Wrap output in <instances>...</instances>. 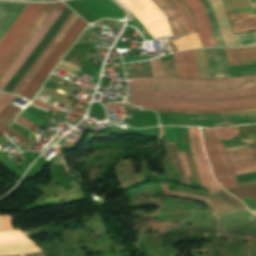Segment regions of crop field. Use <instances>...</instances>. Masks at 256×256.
Returning a JSON list of instances; mask_svg holds the SVG:
<instances>
[{
  "label": "crop field",
  "mask_w": 256,
  "mask_h": 256,
  "mask_svg": "<svg viewBox=\"0 0 256 256\" xmlns=\"http://www.w3.org/2000/svg\"><path fill=\"white\" fill-rule=\"evenodd\" d=\"M173 56L179 77L199 78L192 50Z\"/></svg>",
  "instance_id": "17"
},
{
  "label": "crop field",
  "mask_w": 256,
  "mask_h": 256,
  "mask_svg": "<svg viewBox=\"0 0 256 256\" xmlns=\"http://www.w3.org/2000/svg\"><path fill=\"white\" fill-rule=\"evenodd\" d=\"M228 191L237 198L252 196L256 202V186L235 188Z\"/></svg>",
  "instance_id": "37"
},
{
  "label": "crop field",
  "mask_w": 256,
  "mask_h": 256,
  "mask_svg": "<svg viewBox=\"0 0 256 256\" xmlns=\"http://www.w3.org/2000/svg\"><path fill=\"white\" fill-rule=\"evenodd\" d=\"M155 78H156L157 82L183 83V84H201V85H215V84H225V83L256 81V76L224 78V79H214V80L163 78V77H155Z\"/></svg>",
  "instance_id": "18"
},
{
  "label": "crop field",
  "mask_w": 256,
  "mask_h": 256,
  "mask_svg": "<svg viewBox=\"0 0 256 256\" xmlns=\"http://www.w3.org/2000/svg\"><path fill=\"white\" fill-rule=\"evenodd\" d=\"M155 75L178 77L174 60L161 63L160 58L152 60Z\"/></svg>",
  "instance_id": "26"
},
{
  "label": "crop field",
  "mask_w": 256,
  "mask_h": 256,
  "mask_svg": "<svg viewBox=\"0 0 256 256\" xmlns=\"http://www.w3.org/2000/svg\"><path fill=\"white\" fill-rule=\"evenodd\" d=\"M27 3L0 0V39Z\"/></svg>",
  "instance_id": "14"
},
{
  "label": "crop field",
  "mask_w": 256,
  "mask_h": 256,
  "mask_svg": "<svg viewBox=\"0 0 256 256\" xmlns=\"http://www.w3.org/2000/svg\"><path fill=\"white\" fill-rule=\"evenodd\" d=\"M178 155H179L180 161L182 163V166H183V169H184V172H185V175H186V179H187V182H188L187 176H190L191 174H190V171H189V167H188V163H187V160H186L185 153L184 152H178Z\"/></svg>",
  "instance_id": "44"
},
{
  "label": "crop field",
  "mask_w": 256,
  "mask_h": 256,
  "mask_svg": "<svg viewBox=\"0 0 256 256\" xmlns=\"http://www.w3.org/2000/svg\"><path fill=\"white\" fill-rule=\"evenodd\" d=\"M114 169L122 187L133 185L139 182L131 160H128L114 167Z\"/></svg>",
  "instance_id": "23"
},
{
  "label": "crop field",
  "mask_w": 256,
  "mask_h": 256,
  "mask_svg": "<svg viewBox=\"0 0 256 256\" xmlns=\"http://www.w3.org/2000/svg\"><path fill=\"white\" fill-rule=\"evenodd\" d=\"M256 185V180L251 182L239 183L238 186Z\"/></svg>",
  "instance_id": "59"
},
{
  "label": "crop field",
  "mask_w": 256,
  "mask_h": 256,
  "mask_svg": "<svg viewBox=\"0 0 256 256\" xmlns=\"http://www.w3.org/2000/svg\"><path fill=\"white\" fill-rule=\"evenodd\" d=\"M254 157H256V154L243 156V157L232 158L230 160H231V162H235V161L250 159V158H254ZM232 165H233L235 170L252 168V167H256V159L243 161V162L232 163Z\"/></svg>",
  "instance_id": "34"
},
{
  "label": "crop field",
  "mask_w": 256,
  "mask_h": 256,
  "mask_svg": "<svg viewBox=\"0 0 256 256\" xmlns=\"http://www.w3.org/2000/svg\"><path fill=\"white\" fill-rule=\"evenodd\" d=\"M160 122H161V124H173V125L217 126V125H228V124L256 122V118L223 120V121H171V120H160Z\"/></svg>",
  "instance_id": "24"
},
{
  "label": "crop field",
  "mask_w": 256,
  "mask_h": 256,
  "mask_svg": "<svg viewBox=\"0 0 256 256\" xmlns=\"http://www.w3.org/2000/svg\"><path fill=\"white\" fill-rule=\"evenodd\" d=\"M213 78L231 76L224 48H206Z\"/></svg>",
  "instance_id": "16"
},
{
  "label": "crop field",
  "mask_w": 256,
  "mask_h": 256,
  "mask_svg": "<svg viewBox=\"0 0 256 256\" xmlns=\"http://www.w3.org/2000/svg\"><path fill=\"white\" fill-rule=\"evenodd\" d=\"M75 14L73 12L71 13V15L62 25V27L59 29V31L56 33V35L53 37V39L50 41L44 51L40 54V56L37 58V60L34 62V64L31 66V68L28 70V72L25 74V76L22 78V80L19 82V84L16 86L12 93L17 95L20 94V92L23 90V88L26 86V84L29 82L35 72L39 69V67L42 65V63L45 61V59L48 57V55L51 53L57 43L61 40V38L70 28V26L76 20L78 16Z\"/></svg>",
  "instance_id": "10"
},
{
  "label": "crop field",
  "mask_w": 256,
  "mask_h": 256,
  "mask_svg": "<svg viewBox=\"0 0 256 256\" xmlns=\"http://www.w3.org/2000/svg\"><path fill=\"white\" fill-rule=\"evenodd\" d=\"M243 211H248V210H247V208H245V209H240V210H231V211H224V212H213V214L231 213V212H243Z\"/></svg>",
  "instance_id": "58"
},
{
  "label": "crop field",
  "mask_w": 256,
  "mask_h": 256,
  "mask_svg": "<svg viewBox=\"0 0 256 256\" xmlns=\"http://www.w3.org/2000/svg\"><path fill=\"white\" fill-rule=\"evenodd\" d=\"M229 66L256 63V48H225Z\"/></svg>",
  "instance_id": "19"
},
{
  "label": "crop field",
  "mask_w": 256,
  "mask_h": 256,
  "mask_svg": "<svg viewBox=\"0 0 256 256\" xmlns=\"http://www.w3.org/2000/svg\"><path fill=\"white\" fill-rule=\"evenodd\" d=\"M188 135H189V138H190L191 152L193 154L197 155V152H196V149H195V142H194V140L196 139V147H197V150H198L199 157L202 158V159L207 160L206 156L203 152L199 129L198 128H188Z\"/></svg>",
  "instance_id": "32"
},
{
  "label": "crop field",
  "mask_w": 256,
  "mask_h": 256,
  "mask_svg": "<svg viewBox=\"0 0 256 256\" xmlns=\"http://www.w3.org/2000/svg\"><path fill=\"white\" fill-rule=\"evenodd\" d=\"M164 129H165V139H167L170 144L175 145L173 127H164ZM170 144H169V148H170V151L172 153V156H173V159H174V162H175V165H176L181 183L187 185L184 172L182 170L179 158H178L177 153H176V148L174 146L170 145Z\"/></svg>",
  "instance_id": "25"
},
{
  "label": "crop field",
  "mask_w": 256,
  "mask_h": 256,
  "mask_svg": "<svg viewBox=\"0 0 256 256\" xmlns=\"http://www.w3.org/2000/svg\"><path fill=\"white\" fill-rule=\"evenodd\" d=\"M254 212H256V210Z\"/></svg>",
  "instance_id": "64"
},
{
  "label": "crop field",
  "mask_w": 256,
  "mask_h": 256,
  "mask_svg": "<svg viewBox=\"0 0 256 256\" xmlns=\"http://www.w3.org/2000/svg\"><path fill=\"white\" fill-rule=\"evenodd\" d=\"M133 83H129V85H136V84H155L154 79H147V80H132Z\"/></svg>",
  "instance_id": "54"
},
{
  "label": "crop field",
  "mask_w": 256,
  "mask_h": 256,
  "mask_svg": "<svg viewBox=\"0 0 256 256\" xmlns=\"http://www.w3.org/2000/svg\"><path fill=\"white\" fill-rule=\"evenodd\" d=\"M254 152H256V148L241 151V152H237V153H233V154H229L228 156H229V158H232V157L241 156V155H245V154H250V153H254Z\"/></svg>",
  "instance_id": "52"
},
{
  "label": "crop field",
  "mask_w": 256,
  "mask_h": 256,
  "mask_svg": "<svg viewBox=\"0 0 256 256\" xmlns=\"http://www.w3.org/2000/svg\"><path fill=\"white\" fill-rule=\"evenodd\" d=\"M20 116L26 118L27 120H29L30 122H32L38 126H40L44 121V120L41 121L42 119L41 120L38 119L37 117H35L34 115L30 114L29 112H27L25 110L20 114Z\"/></svg>",
  "instance_id": "43"
},
{
  "label": "crop field",
  "mask_w": 256,
  "mask_h": 256,
  "mask_svg": "<svg viewBox=\"0 0 256 256\" xmlns=\"http://www.w3.org/2000/svg\"><path fill=\"white\" fill-rule=\"evenodd\" d=\"M202 135L210 136L218 139H232L238 135L237 127L221 128V129H205L201 128Z\"/></svg>",
  "instance_id": "28"
},
{
  "label": "crop field",
  "mask_w": 256,
  "mask_h": 256,
  "mask_svg": "<svg viewBox=\"0 0 256 256\" xmlns=\"http://www.w3.org/2000/svg\"><path fill=\"white\" fill-rule=\"evenodd\" d=\"M19 124L23 125L24 127H26L27 129H29L30 131H34L35 129V125H33L32 123L28 122L27 120L21 118V117H17L16 120Z\"/></svg>",
  "instance_id": "48"
},
{
  "label": "crop field",
  "mask_w": 256,
  "mask_h": 256,
  "mask_svg": "<svg viewBox=\"0 0 256 256\" xmlns=\"http://www.w3.org/2000/svg\"><path fill=\"white\" fill-rule=\"evenodd\" d=\"M244 142H247L249 144L239 146V147H236V148L226 149L227 153L229 154V153H233V152H237V151H241V150L256 147V141H244Z\"/></svg>",
  "instance_id": "42"
},
{
  "label": "crop field",
  "mask_w": 256,
  "mask_h": 256,
  "mask_svg": "<svg viewBox=\"0 0 256 256\" xmlns=\"http://www.w3.org/2000/svg\"><path fill=\"white\" fill-rule=\"evenodd\" d=\"M13 216L0 215V230H13L10 220Z\"/></svg>",
  "instance_id": "40"
},
{
  "label": "crop field",
  "mask_w": 256,
  "mask_h": 256,
  "mask_svg": "<svg viewBox=\"0 0 256 256\" xmlns=\"http://www.w3.org/2000/svg\"><path fill=\"white\" fill-rule=\"evenodd\" d=\"M216 194L219 195L227 203L231 204L232 206H234L236 208H245V206L241 202H239L237 199H235L233 196L227 194L223 190H221L220 192H218Z\"/></svg>",
  "instance_id": "38"
},
{
  "label": "crop field",
  "mask_w": 256,
  "mask_h": 256,
  "mask_svg": "<svg viewBox=\"0 0 256 256\" xmlns=\"http://www.w3.org/2000/svg\"><path fill=\"white\" fill-rule=\"evenodd\" d=\"M192 10V13L194 15V18H195V21H196V24H197V27L199 29V32H200V35H201V38H202V41L204 43V46L205 47H208V46H217L216 45V42L214 40V37H213V34H212V31L210 29V26H209V23L207 21V18H206V15H205V12L203 10V7L202 5L197 1V0H183ZM187 6V7H188ZM188 7V8H189ZM189 8V9H190ZM190 10V11H191ZM191 13V14H192ZM192 15V16H193ZM193 18V19H194ZM194 21V22H195ZM197 29V30H198ZM198 32V33H199Z\"/></svg>",
  "instance_id": "12"
},
{
  "label": "crop field",
  "mask_w": 256,
  "mask_h": 256,
  "mask_svg": "<svg viewBox=\"0 0 256 256\" xmlns=\"http://www.w3.org/2000/svg\"><path fill=\"white\" fill-rule=\"evenodd\" d=\"M0 144H4V143L0 142Z\"/></svg>",
  "instance_id": "63"
},
{
  "label": "crop field",
  "mask_w": 256,
  "mask_h": 256,
  "mask_svg": "<svg viewBox=\"0 0 256 256\" xmlns=\"http://www.w3.org/2000/svg\"><path fill=\"white\" fill-rule=\"evenodd\" d=\"M159 8L167 15L174 35L185 33L184 26L178 12L170 5L167 0H153Z\"/></svg>",
  "instance_id": "21"
},
{
  "label": "crop field",
  "mask_w": 256,
  "mask_h": 256,
  "mask_svg": "<svg viewBox=\"0 0 256 256\" xmlns=\"http://www.w3.org/2000/svg\"><path fill=\"white\" fill-rule=\"evenodd\" d=\"M169 185H170L169 183L160 184V188L163 190V192L166 196L174 195V196L196 199V200L205 202L212 210H221L207 196L194 195V194H189V193H184V192H171L168 189Z\"/></svg>",
  "instance_id": "27"
},
{
  "label": "crop field",
  "mask_w": 256,
  "mask_h": 256,
  "mask_svg": "<svg viewBox=\"0 0 256 256\" xmlns=\"http://www.w3.org/2000/svg\"><path fill=\"white\" fill-rule=\"evenodd\" d=\"M152 57H155V56H151V57L122 58V61H123V63H126V62H133V61H141V60L150 59V58H152Z\"/></svg>",
  "instance_id": "53"
},
{
  "label": "crop field",
  "mask_w": 256,
  "mask_h": 256,
  "mask_svg": "<svg viewBox=\"0 0 256 256\" xmlns=\"http://www.w3.org/2000/svg\"><path fill=\"white\" fill-rule=\"evenodd\" d=\"M129 91H155V85L129 86Z\"/></svg>",
  "instance_id": "45"
},
{
  "label": "crop field",
  "mask_w": 256,
  "mask_h": 256,
  "mask_svg": "<svg viewBox=\"0 0 256 256\" xmlns=\"http://www.w3.org/2000/svg\"><path fill=\"white\" fill-rule=\"evenodd\" d=\"M158 115H159V118L177 119V120H222V119L252 117V116H256V112L216 115V116L171 115V114H158Z\"/></svg>",
  "instance_id": "22"
},
{
  "label": "crop field",
  "mask_w": 256,
  "mask_h": 256,
  "mask_svg": "<svg viewBox=\"0 0 256 256\" xmlns=\"http://www.w3.org/2000/svg\"><path fill=\"white\" fill-rule=\"evenodd\" d=\"M153 38L173 36L165 15L150 0H120Z\"/></svg>",
  "instance_id": "1"
},
{
  "label": "crop field",
  "mask_w": 256,
  "mask_h": 256,
  "mask_svg": "<svg viewBox=\"0 0 256 256\" xmlns=\"http://www.w3.org/2000/svg\"><path fill=\"white\" fill-rule=\"evenodd\" d=\"M19 112V110L7 106L1 113H0V133L4 129V127L13 119V117Z\"/></svg>",
  "instance_id": "35"
},
{
  "label": "crop field",
  "mask_w": 256,
  "mask_h": 256,
  "mask_svg": "<svg viewBox=\"0 0 256 256\" xmlns=\"http://www.w3.org/2000/svg\"><path fill=\"white\" fill-rule=\"evenodd\" d=\"M254 171H256V168L236 171L235 174L238 175V174H244V173H249V172H254Z\"/></svg>",
  "instance_id": "57"
},
{
  "label": "crop field",
  "mask_w": 256,
  "mask_h": 256,
  "mask_svg": "<svg viewBox=\"0 0 256 256\" xmlns=\"http://www.w3.org/2000/svg\"><path fill=\"white\" fill-rule=\"evenodd\" d=\"M161 136L164 137L163 127H161Z\"/></svg>",
  "instance_id": "62"
},
{
  "label": "crop field",
  "mask_w": 256,
  "mask_h": 256,
  "mask_svg": "<svg viewBox=\"0 0 256 256\" xmlns=\"http://www.w3.org/2000/svg\"><path fill=\"white\" fill-rule=\"evenodd\" d=\"M8 94L7 93H0V103H1V101L7 96ZM6 99V98H5ZM4 99V100H5ZM3 100V101H4Z\"/></svg>",
  "instance_id": "60"
},
{
  "label": "crop field",
  "mask_w": 256,
  "mask_h": 256,
  "mask_svg": "<svg viewBox=\"0 0 256 256\" xmlns=\"http://www.w3.org/2000/svg\"><path fill=\"white\" fill-rule=\"evenodd\" d=\"M240 47L256 46V32L235 35Z\"/></svg>",
  "instance_id": "36"
},
{
  "label": "crop field",
  "mask_w": 256,
  "mask_h": 256,
  "mask_svg": "<svg viewBox=\"0 0 256 256\" xmlns=\"http://www.w3.org/2000/svg\"><path fill=\"white\" fill-rule=\"evenodd\" d=\"M100 19H124L123 11L109 0H78Z\"/></svg>",
  "instance_id": "13"
},
{
  "label": "crop field",
  "mask_w": 256,
  "mask_h": 256,
  "mask_svg": "<svg viewBox=\"0 0 256 256\" xmlns=\"http://www.w3.org/2000/svg\"><path fill=\"white\" fill-rule=\"evenodd\" d=\"M39 248L19 230L0 232V256L39 252Z\"/></svg>",
  "instance_id": "7"
},
{
  "label": "crop field",
  "mask_w": 256,
  "mask_h": 256,
  "mask_svg": "<svg viewBox=\"0 0 256 256\" xmlns=\"http://www.w3.org/2000/svg\"><path fill=\"white\" fill-rule=\"evenodd\" d=\"M203 140H204V148H205V151L207 153V156L209 158V161L212 165V168H213V171H214V176H215V179L217 180V182L222 186L224 187L225 186V189H228V188H232V187H236L237 184H236V180H235V176L233 174V171L231 169V166L229 164V161L227 159V156L225 154V151H224V148H223V143L220 142V141H216L214 139H210L209 138V146H210V149H211V152L215 158V160L217 161L218 163V167H219V170H220V173L222 175V178H223V182H224V186H223V182H222V179H221V176H220V173L218 171V167H217V164L210 152V149H209V146H208V138H205L203 137ZM215 141H216V144H217V150H218V154L219 156L221 157L225 167H226V170L229 174V179H230V182H231V185L229 183V179H228V176L225 172V169L223 167V164L217 154V151H216V144H215Z\"/></svg>",
  "instance_id": "5"
},
{
  "label": "crop field",
  "mask_w": 256,
  "mask_h": 256,
  "mask_svg": "<svg viewBox=\"0 0 256 256\" xmlns=\"http://www.w3.org/2000/svg\"><path fill=\"white\" fill-rule=\"evenodd\" d=\"M34 105H36V106H40V107H43V108H45V109H48V110H50V111H53V112H57V109H55V108H53V107H51V106H48V105H46V104H44V103H42V102H40V101H38V100H36V99H34V101L32 102Z\"/></svg>",
  "instance_id": "51"
},
{
  "label": "crop field",
  "mask_w": 256,
  "mask_h": 256,
  "mask_svg": "<svg viewBox=\"0 0 256 256\" xmlns=\"http://www.w3.org/2000/svg\"><path fill=\"white\" fill-rule=\"evenodd\" d=\"M155 98V92L135 93L132 92L131 99Z\"/></svg>",
  "instance_id": "46"
},
{
  "label": "crop field",
  "mask_w": 256,
  "mask_h": 256,
  "mask_svg": "<svg viewBox=\"0 0 256 256\" xmlns=\"http://www.w3.org/2000/svg\"><path fill=\"white\" fill-rule=\"evenodd\" d=\"M127 101L134 105H141V106H163V107L195 108V109H216V108L256 105V98L215 101V102L167 100V99H146V100H127Z\"/></svg>",
  "instance_id": "3"
},
{
  "label": "crop field",
  "mask_w": 256,
  "mask_h": 256,
  "mask_svg": "<svg viewBox=\"0 0 256 256\" xmlns=\"http://www.w3.org/2000/svg\"><path fill=\"white\" fill-rule=\"evenodd\" d=\"M227 13L235 33L256 30V15L252 8Z\"/></svg>",
  "instance_id": "15"
},
{
  "label": "crop field",
  "mask_w": 256,
  "mask_h": 256,
  "mask_svg": "<svg viewBox=\"0 0 256 256\" xmlns=\"http://www.w3.org/2000/svg\"><path fill=\"white\" fill-rule=\"evenodd\" d=\"M210 198L222 209H233L231 205L227 204L225 201H223L220 197H218L216 194L210 196Z\"/></svg>",
  "instance_id": "41"
},
{
  "label": "crop field",
  "mask_w": 256,
  "mask_h": 256,
  "mask_svg": "<svg viewBox=\"0 0 256 256\" xmlns=\"http://www.w3.org/2000/svg\"><path fill=\"white\" fill-rule=\"evenodd\" d=\"M43 4L28 3L7 33L0 41V60L36 15ZM1 62V61H0Z\"/></svg>",
  "instance_id": "8"
},
{
  "label": "crop field",
  "mask_w": 256,
  "mask_h": 256,
  "mask_svg": "<svg viewBox=\"0 0 256 256\" xmlns=\"http://www.w3.org/2000/svg\"><path fill=\"white\" fill-rule=\"evenodd\" d=\"M168 1H169V2L172 4V6L179 12V14H180V16H181V19H182V21H183V24H184V26H185L186 31L189 32V31H191V30H192V31L195 30L196 28H195V25H194V22H193V19H192V17H191V14H190L189 9H188L180 0H175L176 3L184 10V12H185V14H186V17H187V20H188V22H189V25H190L191 30H190V28H189V25H188V22H187V20H186V17H185V14H184L183 10L175 3L174 0H168Z\"/></svg>",
  "instance_id": "31"
},
{
  "label": "crop field",
  "mask_w": 256,
  "mask_h": 256,
  "mask_svg": "<svg viewBox=\"0 0 256 256\" xmlns=\"http://www.w3.org/2000/svg\"><path fill=\"white\" fill-rule=\"evenodd\" d=\"M4 131H8V132H10V133H12V134H15V135H17V136L23 138V139H24L25 141H27L28 143L30 142L26 137L22 136L19 132H17V131H15V130L11 129V128L8 127V126L4 129Z\"/></svg>",
  "instance_id": "56"
},
{
  "label": "crop field",
  "mask_w": 256,
  "mask_h": 256,
  "mask_svg": "<svg viewBox=\"0 0 256 256\" xmlns=\"http://www.w3.org/2000/svg\"><path fill=\"white\" fill-rule=\"evenodd\" d=\"M199 1H200V2L204 5V7H205V10H206V13H207V16H208L210 25H211V27H212V30H213V33H214V36H215L217 45H218V46H225V45H224V42H223V39H222V36H221V34H220V31H219V28H218V25H217L215 16H214V14H213V11H212V8H211L210 3H209L207 0H199Z\"/></svg>",
  "instance_id": "30"
},
{
  "label": "crop field",
  "mask_w": 256,
  "mask_h": 256,
  "mask_svg": "<svg viewBox=\"0 0 256 256\" xmlns=\"http://www.w3.org/2000/svg\"><path fill=\"white\" fill-rule=\"evenodd\" d=\"M8 126L20 131L22 134L26 135L29 139L31 138V132L29 130L17 125L13 121Z\"/></svg>",
  "instance_id": "47"
},
{
  "label": "crop field",
  "mask_w": 256,
  "mask_h": 256,
  "mask_svg": "<svg viewBox=\"0 0 256 256\" xmlns=\"http://www.w3.org/2000/svg\"><path fill=\"white\" fill-rule=\"evenodd\" d=\"M144 108H146V109L166 110V111H184V112L216 113V112H227V111H238V110L256 109V106H253V107H243V108H233V109H223V110H193V109L152 108V107H144Z\"/></svg>",
  "instance_id": "33"
},
{
  "label": "crop field",
  "mask_w": 256,
  "mask_h": 256,
  "mask_svg": "<svg viewBox=\"0 0 256 256\" xmlns=\"http://www.w3.org/2000/svg\"><path fill=\"white\" fill-rule=\"evenodd\" d=\"M131 17H132L131 22L139 30V32L142 34L145 40L153 39L151 35L148 33V31L145 29V27L132 14H131Z\"/></svg>",
  "instance_id": "39"
},
{
  "label": "crop field",
  "mask_w": 256,
  "mask_h": 256,
  "mask_svg": "<svg viewBox=\"0 0 256 256\" xmlns=\"http://www.w3.org/2000/svg\"><path fill=\"white\" fill-rule=\"evenodd\" d=\"M57 7L64 10L66 6L63 3L59 2ZM61 12L62 10L56 7L54 8V10L51 12V14L48 16V18L45 20V22L42 24L36 34L32 37V39L29 41V43L26 45V47L23 49L17 59L13 62V64L1 78L0 91L4 90L10 80L13 78V76L16 74V72L19 70V68L22 66V64L25 62V60L28 58V56L31 54V52L34 50V48L37 46L43 36L46 34V32L49 30V28L52 26L58 16L61 14Z\"/></svg>",
  "instance_id": "4"
},
{
  "label": "crop field",
  "mask_w": 256,
  "mask_h": 256,
  "mask_svg": "<svg viewBox=\"0 0 256 256\" xmlns=\"http://www.w3.org/2000/svg\"><path fill=\"white\" fill-rule=\"evenodd\" d=\"M248 96H256V90L215 93V94L157 91V98H170V99L215 100V99H226V98H237V97H248Z\"/></svg>",
  "instance_id": "11"
},
{
  "label": "crop field",
  "mask_w": 256,
  "mask_h": 256,
  "mask_svg": "<svg viewBox=\"0 0 256 256\" xmlns=\"http://www.w3.org/2000/svg\"><path fill=\"white\" fill-rule=\"evenodd\" d=\"M193 158H194L197 168H198L201 187L205 188V189H209L210 195L219 191L221 188L215 182V180L211 174L208 163L199 159L196 156H193Z\"/></svg>",
  "instance_id": "20"
},
{
  "label": "crop field",
  "mask_w": 256,
  "mask_h": 256,
  "mask_svg": "<svg viewBox=\"0 0 256 256\" xmlns=\"http://www.w3.org/2000/svg\"><path fill=\"white\" fill-rule=\"evenodd\" d=\"M57 68L63 69V70H65V71L69 72V73H72V74L76 75V76L78 75V74L73 73V72H70V71H68V70H66V69H64V68H62V67L57 66Z\"/></svg>",
  "instance_id": "61"
},
{
  "label": "crop field",
  "mask_w": 256,
  "mask_h": 256,
  "mask_svg": "<svg viewBox=\"0 0 256 256\" xmlns=\"http://www.w3.org/2000/svg\"><path fill=\"white\" fill-rule=\"evenodd\" d=\"M86 22H84L81 18H77L62 40L58 43L40 69L36 72L24 90L21 92V96L29 98L50 72L52 67L57 63V61L63 56L68 47L72 44V42L77 38V36L81 33L83 28L86 26ZM31 99V98H30Z\"/></svg>",
  "instance_id": "2"
},
{
  "label": "crop field",
  "mask_w": 256,
  "mask_h": 256,
  "mask_svg": "<svg viewBox=\"0 0 256 256\" xmlns=\"http://www.w3.org/2000/svg\"><path fill=\"white\" fill-rule=\"evenodd\" d=\"M14 95L9 94L6 99L0 104V112L1 110L14 98Z\"/></svg>",
  "instance_id": "55"
},
{
  "label": "crop field",
  "mask_w": 256,
  "mask_h": 256,
  "mask_svg": "<svg viewBox=\"0 0 256 256\" xmlns=\"http://www.w3.org/2000/svg\"><path fill=\"white\" fill-rule=\"evenodd\" d=\"M247 89H256V82L215 85V86L157 83V90H165V91L215 93V92L237 91V90H247Z\"/></svg>",
  "instance_id": "9"
},
{
  "label": "crop field",
  "mask_w": 256,
  "mask_h": 256,
  "mask_svg": "<svg viewBox=\"0 0 256 256\" xmlns=\"http://www.w3.org/2000/svg\"><path fill=\"white\" fill-rule=\"evenodd\" d=\"M60 65L66 67V68H68V69H70V70H72L74 72H77L79 69H81L78 66H76V65H74L72 63L66 62V61H61Z\"/></svg>",
  "instance_id": "50"
},
{
  "label": "crop field",
  "mask_w": 256,
  "mask_h": 256,
  "mask_svg": "<svg viewBox=\"0 0 256 256\" xmlns=\"http://www.w3.org/2000/svg\"><path fill=\"white\" fill-rule=\"evenodd\" d=\"M172 43L176 45L177 51L202 47L197 33L181 37Z\"/></svg>",
  "instance_id": "29"
},
{
  "label": "crop field",
  "mask_w": 256,
  "mask_h": 256,
  "mask_svg": "<svg viewBox=\"0 0 256 256\" xmlns=\"http://www.w3.org/2000/svg\"><path fill=\"white\" fill-rule=\"evenodd\" d=\"M250 111H256V110L238 111V112H250ZM238 112H227V113H238ZM158 113H171V114H197V115H216V114H227V113L202 114V113L166 112V111H158Z\"/></svg>",
  "instance_id": "49"
},
{
  "label": "crop field",
  "mask_w": 256,
  "mask_h": 256,
  "mask_svg": "<svg viewBox=\"0 0 256 256\" xmlns=\"http://www.w3.org/2000/svg\"><path fill=\"white\" fill-rule=\"evenodd\" d=\"M55 4L56 3L44 4L40 11L37 13V15L27 26V28L17 39V41L14 43V45L10 48V50L0 62V76L3 74L9 64L12 62V60L16 57L22 47L26 44L32 34L36 31V29L39 27L45 17L49 14Z\"/></svg>",
  "instance_id": "6"
}]
</instances>
